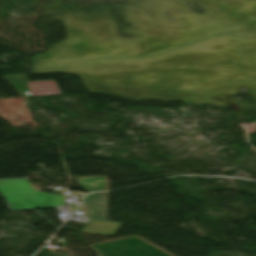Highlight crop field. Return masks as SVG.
<instances>
[{
  "label": "crop field",
  "mask_w": 256,
  "mask_h": 256,
  "mask_svg": "<svg viewBox=\"0 0 256 256\" xmlns=\"http://www.w3.org/2000/svg\"><path fill=\"white\" fill-rule=\"evenodd\" d=\"M107 193H95L86 197L79 210L88 218L105 220Z\"/></svg>",
  "instance_id": "crop-field-3"
},
{
  "label": "crop field",
  "mask_w": 256,
  "mask_h": 256,
  "mask_svg": "<svg viewBox=\"0 0 256 256\" xmlns=\"http://www.w3.org/2000/svg\"><path fill=\"white\" fill-rule=\"evenodd\" d=\"M31 96L61 94L55 80L28 82Z\"/></svg>",
  "instance_id": "crop-field-4"
},
{
  "label": "crop field",
  "mask_w": 256,
  "mask_h": 256,
  "mask_svg": "<svg viewBox=\"0 0 256 256\" xmlns=\"http://www.w3.org/2000/svg\"><path fill=\"white\" fill-rule=\"evenodd\" d=\"M79 184L87 191L105 190V176L77 178Z\"/></svg>",
  "instance_id": "crop-field-6"
},
{
  "label": "crop field",
  "mask_w": 256,
  "mask_h": 256,
  "mask_svg": "<svg viewBox=\"0 0 256 256\" xmlns=\"http://www.w3.org/2000/svg\"><path fill=\"white\" fill-rule=\"evenodd\" d=\"M0 190L14 209L63 205V190H55V196L33 190L25 179L0 180Z\"/></svg>",
  "instance_id": "crop-field-1"
},
{
  "label": "crop field",
  "mask_w": 256,
  "mask_h": 256,
  "mask_svg": "<svg viewBox=\"0 0 256 256\" xmlns=\"http://www.w3.org/2000/svg\"><path fill=\"white\" fill-rule=\"evenodd\" d=\"M94 247L101 256H170L136 237Z\"/></svg>",
  "instance_id": "crop-field-2"
},
{
  "label": "crop field",
  "mask_w": 256,
  "mask_h": 256,
  "mask_svg": "<svg viewBox=\"0 0 256 256\" xmlns=\"http://www.w3.org/2000/svg\"><path fill=\"white\" fill-rule=\"evenodd\" d=\"M118 225L117 222L90 220L82 231L114 235Z\"/></svg>",
  "instance_id": "crop-field-5"
}]
</instances>
